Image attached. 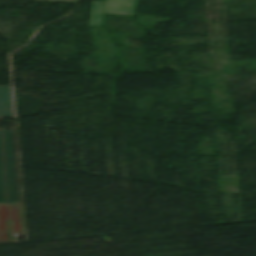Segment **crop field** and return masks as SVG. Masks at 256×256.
<instances>
[{
  "instance_id": "1",
  "label": "crop field",
  "mask_w": 256,
  "mask_h": 256,
  "mask_svg": "<svg viewBox=\"0 0 256 256\" xmlns=\"http://www.w3.org/2000/svg\"><path fill=\"white\" fill-rule=\"evenodd\" d=\"M0 203H20L15 131L0 130Z\"/></svg>"
},
{
  "instance_id": "2",
  "label": "crop field",
  "mask_w": 256,
  "mask_h": 256,
  "mask_svg": "<svg viewBox=\"0 0 256 256\" xmlns=\"http://www.w3.org/2000/svg\"><path fill=\"white\" fill-rule=\"evenodd\" d=\"M22 232L20 204H0V243L13 242Z\"/></svg>"
},
{
  "instance_id": "3",
  "label": "crop field",
  "mask_w": 256,
  "mask_h": 256,
  "mask_svg": "<svg viewBox=\"0 0 256 256\" xmlns=\"http://www.w3.org/2000/svg\"><path fill=\"white\" fill-rule=\"evenodd\" d=\"M103 3H105L104 13L134 15L137 0L94 1L90 26L101 25Z\"/></svg>"
},
{
  "instance_id": "4",
  "label": "crop field",
  "mask_w": 256,
  "mask_h": 256,
  "mask_svg": "<svg viewBox=\"0 0 256 256\" xmlns=\"http://www.w3.org/2000/svg\"><path fill=\"white\" fill-rule=\"evenodd\" d=\"M0 117H14L11 87H0Z\"/></svg>"
},
{
  "instance_id": "5",
  "label": "crop field",
  "mask_w": 256,
  "mask_h": 256,
  "mask_svg": "<svg viewBox=\"0 0 256 256\" xmlns=\"http://www.w3.org/2000/svg\"><path fill=\"white\" fill-rule=\"evenodd\" d=\"M30 1L77 2L78 0H30Z\"/></svg>"
}]
</instances>
